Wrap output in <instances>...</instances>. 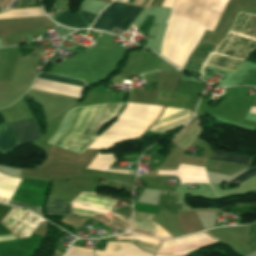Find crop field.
Here are the masks:
<instances>
[{
	"instance_id": "ac0d7876",
	"label": "crop field",
	"mask_w": 256,
	"mask_h": 256,
	"mask_svg": "<svg viewBox=\"0 0 256 256\" xmlns=\"http://www.w3.org/2000/svg\"><path fill=\"white\" fill-rule=\"evenodd\" d=\"M142 9V7L114 1L99 15L92 28L111 32L114 27H117L125 31Z\"/></svg>"
},
{
	"instance_id": "dd49c442",
	"label": "crop field",
	"mask_w": 256,
	"mask_h": 256,
	"mask_svg": "<svg viewBox=\"0 0 256 256\" xmlns=\"http://www.w3.org/2000/svg\"><path fill=\"white\" fill-rule=\"evenodd\" d=\"M189 95L160 91L155 104L183 108Z\"/></svg>"
},
{
	"instance_id": "d1516ede",
	"label": "crop field",
	"mask_w": 256,
	"mask_h": 256,
	"mask_svg": "<svg viewBox=\"0 0 256 256\" xmlns=\"http://www.w3.org/2000/svg\"><path fill=\"white\" fill-rule=\"evenodd\" d=\"M248 240L250 245V250H256V222L249 225V232H248Z\"/></svg>"
},
{
	"instance_id": "3316defc",
	"label": "crop field",
	"mask_w": 256,
	"mask_h": 256,
	"mask_svg": "<svg viewBox=\"0 0 256 256\" xmlns=\"http://www.w3.org/2000/svg\"><path fill=\"white\" fill-rule=\"evenodd\" d=\"M210 159L248 165L250 158L240 154L213 151Z\"/></svg>"
},
{
	"instance_id": "5a996713",
	"label": "crop field",
	"mask_w": 256,
	"mask_h": 256,
	"mask_svg": "<svg viewBox=\"0 0 256 256\" xmlns=\"http://www.w3.org/2000/svg\"><path fill=\"white\" fill-rule=\"evenodd\" d=\"M46 211L48 214L71 216L70 204L51 196Z\"/></svg>"
},
{
	"instance_id": "8a807250",
	"label": "crop field",
	"mask_w": 256,
	"mask_h": 256,
	"mask_svg": "<svg viewBox=\"0 0 256 256\" xmlns=\"http://www.w3.org/2000/svg\"><path fill=\"white\" fill-rule=\"evenodd\" d=\"M123 103H100L67 111L49 144L81 153L96 138L95 133L117 116Z\"/></svg>"
},
{
	"instance_id": "d8731c3e",
	"label": "crop field",
	"mask_w": 256,
	"mask_h": 256,
	"mask_svg": "<svg viewBox=\"0 0 256 256\" xmlns=\"http://www.w3.org/2000/svg\"><path fill=\"white\" fill-rule=\"evenodd\" d=\"M241 63V61L213 55L207 66L234 73Z\"/></svg>"
},
{
	"instance_id": "22f410ed",
	"label": "crop field",
	"mask_w": 256,
	"mask_h": 256,
	"mask_svg": "<svg viewBox=\"0 0 256 256\" xmlns=\"http://www.w3.org/2000/svg\"><path fill=\"white\" fill-rule=\"evenodd\" d=\"M10 204L11 205H15V206H19V207H23V208H26V209H29V210L35 212L36 214H38L39 216L43 217V215L41 213V208L40 207L18 203V202H15L13 200L11 201Z\"/></svg>"
},
{
	"instance_id": "cbeb9de0",
	"label": "crop field",
	"mask_w": 256,
	"mask_h": 256,
	"mask_svg": "<svg viewBox=\"0 0 256 256\" xmlns=\"http://www.w3.org/2000/svg\"><path fill=\"white\" fill-rule=\"evenodd\" d=\"M10 206L0 204V220L4 217V215L10 210Z\"/></svg>"
},
{
	"instance_id": "f4fd0767",
	"label": "crop field",
	"mask_w": 256,
	"mask_h": 256,
	"mask_svg": "<svg viewBox=\"0 0 256 256\" xmlns=\"http://www.w3.org/2000/svg\"><path fill=\"white\" fill-rule=\"evenodd\" d=\"M157 207L159 210L178 213L181 211L179 194L173 192L162 191L159 198Z\"/></svg>"
},
{
	"instance_id": "5142ce71",
	"label": "crop field",
	"mask_w": 256,
	"mask_h": 256,
	"mask_svg": "<svg viewBox=\"0 0 256 256\" xmlns=\"http://www.w3.org/2000/svg\"><path fill=\"white\" fill-rule=\"evenodd\" d=\"M249 113L256 114V107L252 106Z\"/></svg>"
},
{
	"instance_id": "34b2d1b8",
	"label": "crop field",
	"mask_w": 256,
	"mask_h": 256,
	"mask_svg": "<svg viewBox=\"0 0 256 256\" xmlns=\"http://www.w3.org/2000/svg\"><path fill=\"white\" fill-rule=\"evenodd\" d=\"M157 175H175L181 183L205 182L209 183L206 169L180 164L177 171H158Z\"/></svg>"
},
{
	"instance_id": "412701ff",
	"label": "crop field",
	"mask_w": 256,
	"mask_h": 256,
	"mask_svg": "<svg viewBox=\"0 0 256 256\" xmlns=\"http://www.w3.org/2000/svg\"><path fill=\"white\" fill-rule=\"evenodd\" d=\"M21 145L33 142L40 138V133L33 121L27 120L10 124Z\"/></svg>"
},
{
	"instance_id": "e52e79f7",
	"label": "crop field",
	"mask_w": 256,
	"mask_h": 256,
	"mask_svg": "<svg viewBox=\"0 0 256 256\" xmlns=\"http://www.w3.org/2000/svg\"><path fill=\"white\" fill-rule=\"evenodd\" d=\"M19 146L20 144L12 134L8 124H4L0 132V153H7Z\"/></svg>"
},
{
	"instance_id": "28ad6ade",
	"label": "crop field",
	"mask_w": 256,
	"mask_h": 256,
	"mask_svg": "<svg viewBox=\"0 0 256 256\" xmlns=\"http://www.w3.org/2000/svg\"><path fill=\"white\" fill-rule=\"evenodd\" d=\"M253 175H256V167L246 170L245 172H243L242 174H240L239 176L234 178L232 181H230L226 185L229 186V185L235 184V183L239 184L241 181H243Z\"/></svg>"
}]
</instances>
